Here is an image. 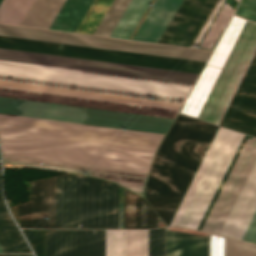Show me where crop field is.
I'll use <instances>...</instances> for the list:
<instances>
[{
    "label": "crop field",
    "instance_id": "17",
    "mask_svg": "<svg viewBox=\"0 0 256 256\" xmlns=\"http://www.w3.org/2000/svg\"><path fill=\"white\" fill-rule=\"evenodd\" d=\"M256 210V164L221 232L241 240Z\"/></svg>",
    "mask_w": 256,
    "mask_h": 256
},
{
    "label": "crop field",
    "instance_id": "32",
    "mask_svg": "<svg viewBox=\"0 0 256 256\" xmlns=\"http://www.w3.org/2000/svg\"><path fill=\"white\" fill-rule=\"evenodd\" d=\"M225 256H256V245L225 237Z\"/></svg>",
    "mask_w": 256,
    "mask_h": 256
},
{
    "label": "crop field",
    "instance_id": "37",
    "mask_svg": "<svg viewBox=\"0 0 256 256\" xmlns=\"http://www.w3.org/2000/svg\"><path fill=\"white\" fill-rule=\"evenodd\" d=\"M223 2L224 0H219L210 17L208 18L207 22L205 23L204 27L202 28L201 32L199 33L198 37L196 38L195 42L193 43L192 47H196L195 45H198L199 41L201 40L202 36L209 27L210 23L212 22L213 18L215 17Z\"/></svg>",
    "mask_w": 256,
    "mask_h": 256
},
{
    "label": "crop field",
    "instance_id": "28",
    "mask_svg": "<svg viewBox=\"0 0 256 256\" xmlns=\"http://www.w3.org/2000/svg\"><path fill=\"white\" fill-rule=\"evenodd\" d=\"M225 2L229 5V6H231L233 9H235L232 5H230L226 0H225ZM224 2V3H225ZM225 3V5H224V7H223V5H222V10L220 11V13H219V15H218V13H217V18H216V20H215V18H214V23H213V25L211 26V28L209 29V31H208V33L206 34V36H205V38H204V36H203V41L201 42V44H200V46L199 47H205V48H212V46H213V44L215 43V41H216V39L218 38V36L220 35V33H221V31L223 30V28H224V26L226 25V23H227V21H228V19L230 18V16H231V14H232V12L234 11L231 7H229L227 4ZM211 23V24H212ZM220 37V36H219ZM218 40V39H217ZM217 42V41H216ZM216 44V43H215ZM215 44H214V46H215ZM214 46H213V48H214ZM213 48L212 49H210V50H213Z\"/></svg>",
    "mask_w": 256,
    "mask_h": 256
},
{
    "label": "crop field",
    "instance_id": "15",
    "mask_svg": "<svg viewBox=\"0 0 256 256\" xmlns=\"http://www.w3.org/2000/svg\"><path fill=\"white\" fill-rule=\"evenodd\" d=\"M256 120V53L220 123L249 134Z\"/></svg>",
    "mask_w": 256,
    "mask_h": 256
},
{
    "label": "crop field",
    "instance_id": "35",
    "mask_svg": "<svg viewBox=\"0 0 256 256\" xmlns=\"http://www.w3.org/2000/svg\"><path fill=\"white\" fill-rule=\"evenodd\" d=\"M210 256H224V237L210 234Z\"/></svg>",
    "mask_w": 256,
    "mask_h": 256
},
{
    "label": "crop field",
    "instance_id": "36",
    "mask_svg": "<svg viewBox=\"0 0 256 256\" xmlns=\"http://www.w3.org/2000/svg\"><path fill=\"white\" fill-rule=\"evenodd\" d=\"M242 240L256 244V212H255Z\"/></svg>",
    "mask_w": 256,
    "mask_h": 256
},
{
    "label": "crop field",
    "instance_id": "31",
    "mask_svg": "<svg viewBox=\"0 0 256 256\" xmlns=\"http://www.w3.org/2000/svg\"><path fill=\"white\" fill-rule=\"evenodd\" d=\"M105 256H125V230H105Z\"/></svg>",
    "mask_w": 256,
    "mask_h": 256
},
{
    "label": "crop field",
    "instance_id": "1",
    "mask_svg": "<svg viewBox=\"0 0 256 256\" xmlns=\"http://www.w3.org/2000/svg\"><path fill=\"white\" fill-rule=\"evenodd\" d=\"M198 74L0 49V80L183 103Z\"/></svg>",
    "mask_w": 256,
    "mask_h": 256
},
{
    "label": "crop field",
    "instance_id": "26",
    "mask_svg": "<svg viewBox=\"0 0 256 256\" xmlns=\"http://www.w3.org/2000/svg\"><path fill=\"white\" fill-rule=\"evenodd\" d=\"M112 1L94 0L76 32L93 34Z\"/></svg>",
    "mask_w": 256,
    "mask_h": 256
},
{
    "label": "crop field",
    "instance_id": "24",
    "mask_svg": "<svg viewBox=\"0 0 256 256\" xmlns=\"http://www.w3.org/2000/svg\"><path fill=\"white\" fill-rule=\"evenodd\" d=\"M152 0H132L111 36L129 39Z\"/></svg>",
    "mask_w": 256,
    "mask_h": 256
},
{
    "label": "crop field",
    "instance_id": "33",
    "mask_svg": "<svg viewBox=\"0 0 256 256\" xmlns=\"http://www.w3.org/2000/svg\"><path fill=\"white\" fill-rule=\"evenodd\" d=\"M149 256H164V228L149 230Z\"/></svg>",
    "mask_w": 256,
    "mask_h": 256
},
{
    "label": "crop field",
    "instance_id": "39",
    "mask_svg": "<svg viewBox=\"0 0 256 256\" xmlns=\"http://www.w3.org/2000/svg\"><path fill=\"white\" fill-rule=\"evenodd\" d=\"M0 256H31V255H0Z\"/></svg>",
    "mask_w": 256,
    "mask_h": 256
},
{
    "label": "crop field",
    "instance_id": "6",
    "mask_svg": "<svg viewBox=\"0 0 256 256\" xmlns=\"http://www.w3.org/2000/svg\"><path fill=\"white\" fill-rule=\"evenodd\" d=\"M0 145L132 162L150 165L155 152L138 149L122 148L85 142L69 141L32 135L16 134L0 131ZM1 146L2 152L6 154L22 155L29 157L45 158L52 160L76 162L83 164L99 165L106 167L122 168L137 171H149L147 165L34 151Z\"/></svg>",
    "mask_w": 256,
    "mask_h": 256
},
{
    "label": "crop field",
    "instance_id": "5",
    "mask_svg": "<svg viewBox=\"0 0 256 256\" xmlns=\"http://www.w3.org/2000/svg\"><path fill=\"white\" fill-rule=\"evenodd\" d=\"M242 137H243V134L219 127L213 141L211 139L212 143L210 141L211 145L209 143L210 147L208 145L209 149L207 147L208 151L206 149L207 153L205 151L206 155L204 153L205 157L203 155L204 159L202 157L203 161L201 159L202 163L200 161L201 165L199 163L200 167L198 165L199 169L197 167L198 171L196 169L197 173L195 171L196 175L194 173L195 177L194 178L192 177L193 180L191 179L192 182L190 181L191 184L189 183L190 186L188 185L189 188L187 187L188 190L186 189L187 192L185 191L186 194L184 193L185 196L183 195L184 198L182 197L183 200L181 199L182 202L180 201L181 204L179 203L180 206L178 205L179 208L177 207L178 210L176 209L177 212L175 211L176 214L174 213L175 216L173 215L174 218L172 217L173 220L171 219L172 222L170 221L171 224L169 223L170 226L179 225V226L197 229ZM246 138L247 136L244 135L198 227L199 230H201Z\"/></svg>",
    "mask_w": 256,
    "mask_h": 256
},
{
    "label": "crop field",
    "instance_id": "29",
    "mask_svg": "<svg viewBox=\"0 0 256 256\" xmlns=\"http://www.w3.org/2000/svg\"><path fill=\"white\" fill-rule=\"evenodd\" d=\"M126 256H148V230H126Z\"/></svg>",
    "mask_w": 256,
    "mask_h": 256
},
{
    "label": "crop field",
    "instance_id": "8",
    "mask_svg": "<svg viewBox=\"0 0 256 256\" xmlns=\"http://www.w3.org/2000/svg\"><path fill=\"white\" fill-rule=\"evenodd\" d=\"M255 51L256 24L246 21L198 119L219 125Z\"/></svg>",
    "mask_w": 256,
    "mask_h": 256
},
{
    "label": "crop field",
    "instance_id": "27",
    "mask_svg": "<svg viewBox=\"0 0 256 256\" xmlns=\"http://www.w3.org/2000/svg\"><path fill=\"white\" fill-rule=\"evenodd\" d=\"M131 0H114L94 34L110 36Z\"/></svg>",
    "mask_w": 256,
    "mask_h": 256
},
{
    "label": "crop field",
    "instance_id": "38",
    "mask_svg": "<svg viewBox=\"0 0 256 256\" xmlns=\"http://www.w3.org/2000/svg\"><path fill=\"white\" fill-rule=\"evenodd\" d=\"M250 135L256 136V122H255V124H254V126H253V128L250 132Z\"/></svg>",
    "mask_w": 256,
    "mask_h": 256
},
{
    "label": "crop field",
    "instance_id": "19",
    "mask_svg": "<svg viewBox=\"0 0 256 256\" xmlns=\"http://www.w3.org/2000/svg\"><path fill=\"white\" fill-rule=\"evenodd\" d=\"M182 0H156L133 39L158 42Z\"/></svg>",
    "mask_w": 256,
    "mask_h": 256
},
{
    "label": "crop field",
    "instance_id": "41",
    "mask_svg": "<svg viewBox=\"0 0 256 256\" xmlns=\"http://www.w3.org/2000/svg\"><path fill=\"white\" fill-rule=\"evenodd\" d=\"M0 252H2L1 248H0Z\"/></svg>",
    "mask_w": 256,
    "mask_h": 256
},
{
    "label": "crop field",
    "instance_id": "30",
    "mask_svg": "<svg viewBox=\"0 0 256 256\" xmlns=\"http://www.w3.org/2000/svg\"><path fill=\"white\" fill-rule=\"evenodd\" d=\"M195 2L196 0H183L182 4L180 5L170 24L166 28L159 42L171 44L172 40L174 39L175 35L177 34L178 30L180 29L181 25L183 24Z\"/></svg>",
    "mask_w": 256,
    "mask_h": 256
},
{
    "label": "crop field",
    "instance_id": "4",
    "mask_svg": "<svg viewBox=\"0 0 256 256\" xmlns=\"http://www.w3.org/2000/svg\"><path fill=\"white\" fill-rule=\"evenodd\" d=\"M216 126L179 114L161 144L146 199L168 225Z\"/></svg>",
    "mask_w": 256,
    "mask_h": 256
},
{
    "label": "crop field",
    "instance_id": "14",
    "mask_svg": "<svg viewBox=\"0 0 256 256\" xmlns=\"http://www.w3.org/2000/svg\"><path fill=\"white\" fill-rule=\"evenodd\" d=\"M45 256H104V230H46Z\"/></svg>",
    "mask_w": 256,
    "mask_h": 256
},
{
    "label": "crop field",
    "instance_id": "40",
    "mask_svg": "<svg viewBox=\"0 0 256 256\" xmlns=\"http://www.w3.org/2000/svg\"><path fill=\"white\" fill-rule=\"evenodd\" d=\"M234 1H235L236 3H238L237 1H239V0H237V1H236V0H234Z\"/></svg>",
    "mask_w": 256,
    "mask_h": 256
},
{
    "label": "crop field",
    "instance_id": "20",
    "mask_svg": "<svg viewBox=\"0 0 256 256\" xmlns=\"http://www.w3.org/2000/svg\"><path fill=\"white\" fill-rule=\"evenodd\" d=\"M165 256H208V237L178 230L165 231Z\"/></svg>",
    "mask_w": 256,
    "mask_h": 256
},
{
    "label": "crop field",
    "instance_id": "42",
    "mask_svg": "<svg viewBox=\"0 0 256 256\" xmlns=\"http://www.w3.org/2000/svg\"><path fill=\"white\" fill-rule=\"evenodd\" d=\"M2 0H0V3H1Z\"/></svg>",
    "mask_w": 256,
    "mask_h": 256
},
{
    "label": "crop field",
    "instance_id": "12",
    "mask_svg": "<svg viewBox=\"0 0 256 256\" xmlns=\"http://www.w3.org/2000/svg\"><path fill=\"white\" fill-rule=\"evenodd\" d=\"M244 22V19L233 16L181 113L197 118Z\"/></svg>",
    "mask_w": 256,
    "mask_h": 256
},
{
    "label": "crop field",
    "instance_id": "18",
    "mask_svg": "<svg viewBox=\"0 0 256 256\" xmlns=\"http://www.w3.org/2000/svg\"><path fill=\"white\" fill-rule=\"evenodd\" d=\"M76 175L56 177L54 228H75Z\"/></svg>",
    "mask_w": 256,
    "mask_h": 256
},
{
    "label": "crop field",
    "instance_id": "2",
    "mask_svg": "<svg viewBox=\"0 0 256 256\" xmlns=\"http://www.w3.org/2000/svg\"><path fill=\"white\" fill-rule=\"evenodd\" d=\"M0 96L174 119L182 104L0 81ZM0 97V113L165 134L171 119Z\"/></svg>",
    "mask_w": 256,
    "mask_h": 256
},
{
    "label": "crop field",
    "instance_id": "13",
    "mask_svg": "<svg viewBox=\"0 0 256 256\" xmlns=\"http://www.w3.org/2000/svg\"><path fill=\"white\" fill-rule=\"evenodd\" d=\"M2 157L4 163L8 164L50 168L60 171H71L78 173L87 172V175L116 182L141 196H143L144 182L148 174L145 172L129 171L6 154H3Z\"/></svg>",
    "mask_w": 256,
    "mask_h": 256
},
{
    "label": "crop field",
    "instance_id": "11",
    "mask_svg": "<svg viewBox=\"0 0 256 256\" xmlns=\"http://www.w3.org/2000/svg\"><path fill=\"white\" fill-rule=\"evenodd\" d=\"M64 0H35L21 25L48 28ZM93 0H65L49 28L75 32Z\"/></svg>",
    "mask_w": 256,
    "mask_h": 256
},
{
    "label": "crop field",
    "instance_id": "16",
    "mask_svg": "<svg viewBox=\"0 0 256 256\" xmlns=\"http://www.w3.org/2000/svg\"><path fill=\"white\" fill-rule=\"evenodd\" d=\"M54 189L55 177L31 182V202L18 205L21 228H53Z\"/></svg>",
    "mask_w": 256,
    "mask_h": 256
},
{
    "label": "crop field",
    "instance_id": "25",
    "mask_svg": "<svg viewBox=\"0 0 256 256\" xmlns=\"http://www.w3.org/2000/svg\"><path fill=\"white\" fill-rule=\"evenodd\" d=\"M34 0H3L0 4V22L20 25Z\"/></svg>",
    "mask_w": 256,
    "mask_h": 256
},
{
    "label": "crop field",
    "instance_id": "7",
    "mask_svg": "<svg viewBox=\"0 0 256 256\" xmlns=\"http://www.w3.org/2000/svg\"><path fill=\"white\" fill-rule=\"evenodd\" d=\"M5 120L53 125V126L90 130V131L112 133V134H120V135L148 137V138H153V140L148 139V138L120 136V135L104 134V133L67 129V128H60V127H53V126L10 122V121H6L4 124V126H6V127H14V128L28 129V130H36V131H43V132H51V133H58V134H65V135H73V136H80V137H88V138L118 141V142H127V143H136V144H145V145H149L152 140L150 146L102 141V140H95V139H88V138H80V137H73V136H65V135H58V134L2 127ZM0 130L16 132V133L39 135V136L54 137V138L69 139V140L85 141V142H92V143H100V144H107V145H115V146H122V147L153 150V151L157 150V147L163 137V135H161V134H153V133H145V132H137V131H129V130L121 131L119 129H111V128H104V127H96V126L58 122V121L43 120V119L28 118V117H20V116L5 115V114H0Z\"/></svg>",
    "mask_w": 256,
    "mask_h": 256
},
{
    "label": "crop field",
    "instance_id": "3",
    "mask_svg": "<svg viewBox=\"0 0 256 256\" xmlns=\"http://www.w3.org/2000/svg\"><path fill=\"white\" fill-rule=\"evenodd\" d=\"M0 35L206 62L211 52L0 25ZM0 36V48L200 73L204 63Z\"/></svg>",
    "mask_w": 256,
    "mask_h": 256
},
{
    "label": "crop field",
    "instance_id": "22",
    "mask_svg": "<svg viewBox=\"0 0 256 256\" xmlns=\"http://www.w3.org/2000/svg\"><path fill=\"white\" fill-rule=\"evenodd\" d=\"M217 0H197L172 44L190 47Z\"/></svg>",
    "mask_w": 256,
    "mask_h": 256
},
{
    "label": "crop field",
    "instance_id": "23",
    "mask_svg": "<svg viewBox=\"0 0 256 256\" xmlns=\"http://www.w3.org/2000/svg\"><path fill=\"white\" fill-rule=\"evenodd\" d=\"M0 246L3 252H30L2 201L0 190Z\"/></svg>",
    "mask_w": 256,
    "mask_h": 256
},
{
    "label": "crop field",
    "instance_id": "21",
    "mask_svg": "<svg viewBox=\"0 0 256 256\" xmlns=\"http://www.w3.org/2000/svg\"><path fill=\"white\" fill-rule=\"evenodd\" d=\"M158 227V215L141 197L126 190L125 228Z\"/></svg>",
    "mask_w": 256,
    "mask_h": 256
},
{
    "label": "crop field",
    "instance_id": "10",
    "mask_svg": "<svg viewBox=\"0 0 256 256\" xmlns=\"http://www.w3.org/2000/svg\"><path fill=\"white\" fill-rule=\"evenodd\" d=\"M256 138L247 139L225 185L223 186L202 230L220 234L254 164Z\"/></svg>",
    "mask_w": 256,
    "mask_h": 256
},
{
    "label": "crop field",
    "instance_id": "9",
    "mask_svg": "<svg viewBox=\"0 0 256 256\" xmlns=\"http://www.w3.org/2000/svg\"><path fill=\"white\" fill-rule=\"evenodd\" d=\"M118 228V186L77 175L76 228Z\"/></svg>",
    "mask_w": 256,
    "mask_h": 256
},
{
    "label": "crop field",
    "instance_id": "34",
    "mask_svg": "<svg viewBox=\"0 0 256 256\" xmlns=\"http://www.w3.org/2000/svg\"><path fill=\"white\" fill-rule=\"evenodd\" d=\"M235 14L256 21V0H241Z\"/></svg>",
    "mask_w": 256,
    "mask_h": 256
}]
</instances>
